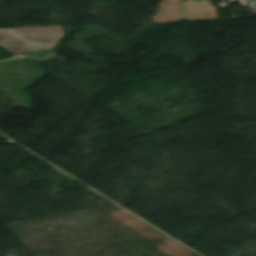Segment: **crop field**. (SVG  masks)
Segmentation results:
<instances>
[{"label": "crop field", "mask_w": 256, "mask_h": 256, "mask_svg": "<svg viewBox=\"0 0 256 256\" xmlns=\"http://www.w3.org/2000/svg\"><path fill=\"white\" fill-rule=\"evenodd\" d=\"M210 5L209 0H188L181 10L180 21H203L217 19L216 9Z\"/></svg>", "instance_id": "1"}]
</instances>
